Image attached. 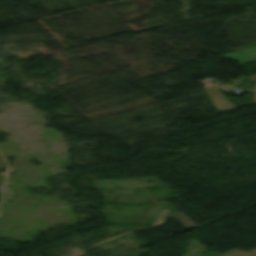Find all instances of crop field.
<instances>
[{
  "instance_id": "1",
  "label": "crop field",
  "mask_w": 256,
  "mask_h": 256,
  "mask_svg": "<svg viewBox=\"0 0 256 256\" xmlns=\"http://www.w3.org/2000/svg\"><path fill=\"white\" fill-rule=\"evenodd\" d=\"M209 97L213 100L211 103L216 107L219 112L234 109L235 107L229 102V100L214 87L204 90Z\"/></svg>"
},
{
  "instance_id": "2",
  "label": "crop field",
  "mask_w": 256,
  "mask_h": 256,
  "mask_svg": "<svg viewBox=\"0 0 256 256\" xmlns=\"http://www.w3.org/2000/svg\"><path fill=\"white\" fill-rule=\"evenodd\" d=\"M220 58L222 59L229 58L237 63L250 61V60L256 59V46L243 49L237 52H233V53L221 56Z\"/></svg>"
},
{
  "instance_id": "3",
  "label": "crop field",
  "mask_w": 256,
  "mask_h": 256,
  "mask_svg": "<svg viewBox=\"0 0 256 256\" xmlns=\"http://www.w3.org/2000/svg\"><path fill=\"white\" fill-rule=\"evenodd\" d=\"M221 256H256L255 254H251V253H248V252H244V251H240V250H236V249H233Z\"/></svg>"
},
{
  "instance_id": "4",
  "label": "crop field",
  "mask_w": 256,
  "mask_h": 256,
  "mask_svg": "<svg viewBox=\"0 0 256 256\" xmlns=\"http://www.w3.org/2000/svg\"><path fill=\"white\" fill-rule=\"evenodd\" d=\"M256 103V90H253L252 104Z\"/></svg>"
},
{
  "instance_id": "5",
  "label": "crop field",
  "mask_w": 256,
  "mask_h": 256,
  "mask_svg": "<svg viewBox=\"0 0 256 256\" xmlns=\"http://www.w3.org/2000/svg\"><path fill=\"white\" fill-rule=\"evenodd\" d=\"M252 253H256V249L252 251Z\"/></svg>"
},
{
  "instance_id": "6",
  "label": "crop field",
  "mask_w": 256,
  "mask_h": 256,
  "mask_svg": "<svg viewBox=\"0 0 256 256\" xmlns=\"http://www.w3.org/2000/svg\"><path fill=\"white\" fill-rule=\"evenodd\" d=\"M253 88H256V84H255V86Z\"/></svg>"
}]
</instances>
